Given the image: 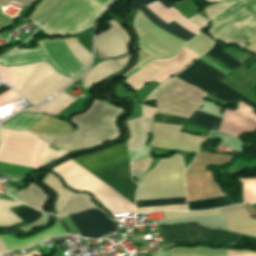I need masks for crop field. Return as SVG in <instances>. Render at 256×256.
<instances>
[{"label": "crop field", "mask_w": 256, "mask_h": 256, "mask_svg": "<svg viewBox=\"0 0 256 256\" xmlns=\"http://www.w3.org/2000/svg\"><path fill=\"white\" fill-rule=\"evenodd\" d=\"M52 170L59 174L70 188L92 193L112 214L134 211L132 204L137 185L131 181L128 161L91 173L132 204L71 160Z\"/></svg>", "instance_id": "1"}, {"label": "crop field", "mask_w": 256, "mask_h": 256, "mask_svg": "<svg viewBox=\"0 0 256 256\" xmlns=\"http://www.w3.org/2000/svg\"><path fill=\"white\" fill-rule=\"evenodd\" d=\"M181 126L153 123L151 145L196 151L204 137L180 132Z\"/></svg>", "instance_id": "14"}, {"label": "crop field", "mask_w": 256, "mask_h": 256, "mask_svg": "<svg viewBox=\"0 0 256 256\" xmlns=\"http://www.w3.org/2000/svg\"><path fill=\"white\" fill-rule=\"evenodd\" d=\"M222 49H224V47L215 42L214 46L206 54L215 58L216 60H218L219 62H221L231 70L241 65L237 61L232 59L230 56H228L227 54L221 52L220 50Z\"/></svg>", "instance_id": "38"}, {"label": "crop field", "mask_w": 256, "mask_h": 256, "mask_svg": "<svg viewBox=\"0 0 256 256\" xmlns=\"http://www.w3.org/2000/svg\"><path fill=\"white\" fill-rule=\"evenodd\" d=\"M183 158L175 154L160 162L142 180L136 200L185 196Z\"/></svg>", "instance_id": "5"}, {"label": "crop field", "mask_w": 256, "mask_h": 256, "mask_svg": "<svg viewBox=\"0 0 256 256\" xmlns=\"http://www.w3.org/2000/svg\"><path fill=\"white\" fill-rule=\"evenodd\" d=\"M197 56L198 54L183 48L176 56L151 61L126 79L138 89L152 80L161 83L185 68Z\"/></svg>", "instance_id": "11"}, {"label": "crop field", "mask_w": 256, "mask_h": 256, "mask_svg": "<svg viewBox=\"0 0 256 256\" xmlns=\"http://www.w3.org/2000/svg\"><path fill=\"white\" fill-rule=\"evenodd\" d=\"M37 44L39 46L37 48L30 50L16 49L4 55L0 58V64L11 66L46 60L51 63L58 72L70 78L77 77L62 60L49 38L37 42Z\"/></svg>", "instance_id": "12"}, {"label": "crop field", "mask_w": 256, "mask_h": 256, "mask_svg": "<svg viewBox=\"0 0 256 256\" xmlns=\"http://www.w3.org/2000/svg\"><path fill=\"white\" fill-rule=\"evenodd\" d=\"M12 132L0 128V143ZM48 144L27 132L14 131L1 143L0 161L40 169L56 152L48 148ZM67 154V151L58 150L46 164Z\"/></svg>", "instance_id": "3"}, {"label": "crop field", "mask_w": 256, "mask_h": 256, "mask_svg": "<svg viewBox=\"0 0 256 256\" xmlns=\"http://www.w3.org/2000/svg\"><path fill=\"white\" fill-rule=\"evenodd\" d=\"M127 159H129L127 151L124 145L121 144L94 155L74 159L73 161L91 172Z\"/></svg>", "instance_id": "17"}, {"label": "crop field", "mask_w": 256, "mask_h": 256, "mask_svg": "<svg viewBox=\"0 0 256 256\" xmlns=\"http://www.w3.org/2000/svg\"><path fill=\"white\" fill-rule=\"evenodd\" d=\"M163 214L165 219L226 214L228 230L256 237V221L251 220L247 211L241 205L204 212L163 211Z\"/></svg>", "instance_id": "13"}, {"label": "crop field", "mask_w": 256, "mask_h": 256, "mask_svg": "<svg viewBox=\"0 0 256 256\" xmlns=\"http://www.w3.org/2000/svg\"><path fill=\"white\" fill-rule=\"evenodd\" d=\"M70 127L53 118L43 116L30 131L33 134H63L69 132Z\"/></svg>", "instance_id": "25"}, {"label": "crop field", "mask_w": 256, "mask_h": 256, "mask_svg": "<svg viewBox=\"0 0 256 256\" xmlns=\"http://www.w3.org/2000/svg\"><path fill=\"white\" fill-rule=\"evenodd\" d=\"M60 2L61 0H44L28 20L40 25Z\"/></svg>", "instance_id": "35"}, {"label": "crop field", "mask_w": 256, "mask_h": 256, "mask_svg": "<svg viewBox=\"0 0 256 256\" xmlns=\"http://www.w3.org/2000/svg\"><path fill=\"white\" fill-rule=\"evenodd\" d=\"M152 158L133 162L131 165L132 171H146Z\"/></svg>", "instance_id": "48"}, {"label": "crop field", "mask_w": 256, "mask_h": 256, "mask_svg": "<svg viewBox=\"0 0 256 256\" xmlns=\"http://www.w3.org/2000/svg\"><path fill=\"white\" fill-rule=\"evenodd\" d=\"M107 23H109L112 26V28L115 29L119 33V35L124 39L126 44L129 45L130 37H129L128 33L118 23H116L113 19Z\"/></svg>", "instance_id": "47"}, {"label": "crop field", "mask_w": 256, "mask_h": 256, "mask_svg": "<svg viewBox=\"0 0 256 256\" xmlns=\"http://www.w3.org/2000/svg\"><path fill=\"white\" fill-rule=\"evenodd\" d=\"M22 205L19 202L0 200V226H13L22 222L8 208Z\"/></svg>", "instance_id": "33"}, {"label": "crop field", "mask_w": 256, "mask_h": 256, "mask_svg": "<svg viewBox=\"0 0 256 256\" xmlns=\"http://www.w3.org/2000/svg\"><path fill=\"white\" fill-rule=\"evenodd\" d=\"M42 254H40L39 252L37 253H33V254H30V255H27V256H41Z\"/></svg>", "instance_id": "58"}, {"label": "crop field", "mask_w": 256, "mask_h": 256, "mask_svg": "<svg viewBox=\"0 0 256 256\" xmlns=\"http://www.w3.org/2000/svg\"><path fill=\"white\" fill-rule=\"evenodd\" d=\"M70 217L83 237L98 239L118 229L112 220L96 209L71 214Z\"/></svg>", "instance_id": "15"}, {"label": "crop field", "mask_w": 256, "mask_h": 256, "mask_svg": "<svg viewBox=\"0 0 256 256\" xmlns=\"http://www.w3.org/2000/svg\"><path fill=\"white\" fill-rule=\"evenodd\" d=\"M64 40L69 50L80 61V63L87 68L91 59V54L80 44L76 37Z\"/></svg>", "instance_id": "36"}, {"label": "crop field", "mask_w": 256, "mask_h": 256, "mask_svg": "<svg viewBox=\"0 0 256 256\" xmlns=\"http://www.w3.org/2000/svg\"><path fill=\"white\" fill-rule=\"evenodd\" d=\"M95 1L106 8L113 0H95Z\"/></svg>", "instance_id": "55"}, {"label": "crop field", "mask_w": 256, "mask_h": 256, "mask_svg": "<svg viewBox=\"0 0 256 256\" xmlns=\"http://www.w3.org/2000/svg\"><path fill=\"white\" fill-rule=\"evenodd\" d=\"M18 193L24 203L42 211L44 210L48 195L33 183H31L28 189L19 191Z\"/></svg>", "instance_id": "28"}, {"label": "crop field", "mask_w": 256, "mask_h": 256, "mask_svg": "<svg viewBox=\"0 0 256 256\" xmlns=\"http://www.w3.org/2000/svg\"><path fill=\"white\" fill-rule=\"evenodd\" d=\"M154 0H135L132 4L131 9L140 8L145 15L152 20L155 24H157L162 29L166 30L167 32L178 36L186 41H188L190 38L194 37L192 33L188 32L187 30L181 28L180 26L176 25L175 23L171 22L170 24H165L158 20L146 7L145 5L151 3ZM161 4H163L166 8L172 7V4L168 0H158ZM156 25V26H157Z\"/></svg>", "instance_id": "23"}, {"label": "crop field", "mask_w": 256, "mask_h": 256, "mask_svg": "<svg viewBox=\"0 0 256 256\" xmlns=\"http://www.w3.org/2000/svg\"><path fill=\"white\" fill-rule=\"evenodd\" d=\"M234 204L229 196L188 202L189 210H209Z\"/></svg>", "instance_id": "32"}, {"label": "crop field", "mask_w": 256, "mask_h": 256, "mask_svg": "<svg viewBox=\"0 0 256 256\" xmlns=\"http://www.w3.org/2000/svg\"><path fill=\"white\" fill-rule=\"evenodd\" d=\"M159 109L160 108L156 109L151 106L143 104V119H144L146 131L149 132V130L151 128V124H152L150 119H152L154 115L158 114Z\"/></svg>", "instance_id": "43"}, {"label": "crop field", "mask_w": 256, "mask_h": 256, "mask_svg": "<svg viewBox=\"0 0 256 256\" xmlns=\"http://www.w3.org/2000/svg\"><path fill=\"white\" fill-rule=\"evenodd\" d=\"M230 3L228 2H220L218 4H214L207 9H205L206 14L208 15L209 19L215 17L219 13H221Z\"/></svg>", "instance_id": "45"}, {"label": "crop field", "mask_w": 256, "mask_h": 256, "mask_svg": "<svg viewBox=\"0 0 256 256\" xmlns=\"http://www.w3.org/2000/svg\"><path fill=\"white\" fill-rule=\"evenodd\" d=\"M15 214L25 221L27 224L32 223L34 220H36L42 213L38 212L36 210H33L27 206L21 207Z\"/></svg>", "instance_id": "42"}, {"label": "crop field", "mask_w": 256, "mask_h": 256, "mask_svg": "<svg viewBox=\"0 0 256 256\" xmlns=\"http://www.w3.org/2000/svg\"><path fill=\"white\" fill-rule=\"evenodd\" d=\"M222 73L211 66H207L196 60L191 66L184 69L175 77L223 100V101H241L253 108L256 114V105L243 98L233 90L223 85L218 80L224 77Z\"/></svg>", "instance_id": "9"}, {"label": "crop field", "mask_w": 256, "mask_h": 256, "mask_svg": "<svg viewBox=\"0 0 256 256\" xmlns=\"http://www.w3.org/2000/svg\"><path fill=\"white\" fill-rule=\"evenodd\" d=\"M0 251L1 253L8 252V249L6 248L4 243L1 241V239H0Z\"/></svg>", "instance_id": "56"}, {"label": "crop field", "mask_w": 256, "mask_h": 256, "mask_svg": "<svg viewBox=\"0 0 256 256\" xmlns=\"http://www.w3.org/2000/svg\"><path fill=\"white\" fill-rule=\"evenodd\" d=\"M42 115L33 114V113H21L6 123H4L1 127L13 129V130H28L29 126L36 122Z\"/></svg>", "instance_id": "30"}, {"label": "crop field", "mask_w": 256, "mask_h": 256, "mask_svg": "<svg viewBox=\"0 0 256 256\" xmlns=\"http://www.w3.org/2000/svg\"><path fill=\"white\" fill-rule=\"evenodd\" d=\"M124 110L94 100L85 114L73 116L71 122L77 126L78 130L67 135L36 136L68 152L89 148L120 136L115 120Z\"/></svg>", "instance_id": "2"}, {"label": "crop field", "mask_w": 256, "mask_h": 256, "mask_svg": "<svg viewBox=\"0 0 256 256\" xmlns=\"http://www.w3.org/2000/svg\"><path fill=\"white\" fill-rule=\"evenodd\" d=\"M160 209L187 210V206L186 204H180V205H167V206H155V207H142V208H136V213L148 212V211H154V210H160Z\"/></svg>", "instance_id": "44"}, {"label": "crop field", "mask_w": 256, "mask_h": 256, "mask_svg": "<svg viewBox=\"0 0 256 256\" xmlns=\"http://www.w3.org/2000/svg\"><path fill=\"white\" fill-rule=\"evenodd\" d=\"M213 42V40L201 32L194 39L188 42L185 47L201 55L212 46Z\"/></svg>", "instance_id": "37"}, {"label": "crop field", "mask_w": 256, "mask_h": 256, "mask_svg": "<svg viewBox=\"0 0 256 256\" xmlns=\"http://www.w3.org/2000/svg\"><path fill=\"white\" fill-rule=\"evenodd\" d=\"M186 203L185 197L160 200L136 201V207Z\"/></svg>", "instance_id": "41"}, {"label": "crop field", "mask_w": 256, "mask_h": 256, "mask_svg": "<svg viewBox=\"0 0 256 256\" xmlns=\"http://www.w3.org/2000/svg\"><path fill=\"white\" fill-rule=\"evenodd\" d=\"M140 48L154 58L174 55L186 42L157 28L140 11L135 19Z\"/></svg>", "instance_id": "10"}, {"label": "crop field", "mask_w": 256, "mask_h": 256, "mask_svg": "<svg viewBox=\"0 0 256 256\" xmlns=\"http://www.w3.org/2000/svg\"><path fill=\"white\" fill-rule=\"evenodd\" d=\"M130 55L129 56H125L119 59H115V62L117 64V66H124L127 65L128 61H129Z\"/></svg>", "instance_id": "54"}, {"label": "crop field", "mask_w": 256, "mask_h": 256, "mask_svg": "<svg viewBox=\"0 0 256 256\" xmlns=\"http://www.w3.org/2000/svg\"><path fill=\"white\" fill-rule=\"evenodd\" d=\"M189 20L193 21L194 23H196L200 27H203L205 22L207 21L204 18H202L201 16H199L198 14L191 17Z\"/></svg>", "instance_id": "52"}, {"label": "crop field", "mask_w": 256, "mask_h": 256, "mask_svg": "<svg viewBox=\"0 0 256 256\" xmlns=\"http://www.w3.org/2000/svg\"><path fill=\"white\" fill-rule=\"evenodd\" d=\"M214 37L239 43L256 34V0H242L234 3L214 19ZM256 54V35L238 44Z\"/></svg>", "instance_id": "4"}, {"label": "crop field", "mask_w": 256, "mask_h": 256, "mask_svg": "<svg viewBox=\"0 0 256 256\" xmlns=\"http://www.w3.org/2000/svg\"><path fill=\"white\" fill-rule=\"evenodd\" d=\"M146 56H148V55H146L145 53H143V52H141V53H139L138 54V61H137V63L138 62H140L142 59H144ZM151 60H153L151 57H147V58H145L143 61H141L139 64H135L136 66L135 67H133L132 69H130L123 77H128L129 75H131V74H133L134 72H136L137 70H139L140 68H142L145 64H147L149 61H151Z\"/></svg>", "instance_id": "46"}, {"label": "crop field", "mask_w": 256, "mask_h": 256, "mask_svg": "<svg viewBox=\"0 0 256 256\" xmlns=\"http://www.w3.org/2000/svg\"><path fill=\"white\" fill-rule=\"evenodd\" d=\"M1 254V253H0Z\"/></svg>", "instance_id": "60"}, {"label": "crop field", "mask_w": 256, "mask_h": 256, "mask_svg": "<svg viewBox=\"0 0 256 256\" xmlns=\"http://www.w3.org/2000/svg\"><path fill=\"white\" fill-rule=\"evenodd\" d=\"M149 100H156L157 106L161 107L159 113L163 114H170L189 118L192 113L197 111V108L185 102L177 100L169 95H166L158 90L153 92L146 101Z\"/></svg>", "instance_id": "19"}, {"label": "crop field", "mask_w": 256, "mask_h": 256, "mask_svg": "<svg viewBox=\"0 0 256 256\" xmlns=\"http://www.w3.org/2000/svg\"><path fill=\"white\" fill-rule=\"evenodd\" d=\"M220 120H221L220 117H216L213 115H209V114L197 111L194 114H192L189 120V123L216 129Z\"/></svg>", "instance_id": "39"}, {"label": "crop field", "mask_w": 256, "mask_h": 256, "mask_svg": "<svg viewBox=\"0 0 256 256\" xmlns=\"http://www.w3.org/2000/svg\"><path fill=\"white\" fill-rule=\"evenodd\" d=\"M127 126L130 132V139L126 143L127 150L138 152L145 140L142 118L127 121Z\"/></svg>", "instance_id": "27"}, {"label": "crop field", "mask_w": 256, "mask_h": 256, "mask_svg": "<svg viewBox=\"0 0 256 256\" xmlns=\"http://www.w3.org/2000/svg\"><path fill=\"white\" fill-rule=\"evenodd\" d=\"M160 233L165 241L176 245L206 244L221 247H234L239 234L210 230L199 225L161 226Z\"/></svg>", "instance_id": "8"}, {"label": "crop field", "mask_w": 256, "mask_h": 256, "mask_svg": "<svg viewBox=\"0 0 256 256\" xmlns=\"http://www.w3.org/2000/svg\"><path fill=\"white\" fill-rule=\"evenodd\" d=\"M43 182L45 184L49 185L50 187H52L55 190V192L57 193L58 199L55 204V210L58 213H60L64 209L67 202L69 201L72 193L63 189L61 184L59 183V181L56 178H54L52 175H50L49 173L47 174V176Z\"/></svg>", "instance_id": "31"}, {"label": "crop field", "mask_w": 256, "mask_h": 256, "mask_svg": "<svg viewBox=\"0 0 256 256\" xmlns=\"http://www.w3.org/2000/svg\"><path fill=\"white\" fill-rule=\"evenodd\" d=\"M253 109L238 104L237 110L225 109L223 112V121L219 131L238 138L242 132L252 131L256 128V116L251 112Z\"/></svg>", "instance_id": "16"}, {"label": "crop field", "mask_w": 256, "mask_h": 256, "mask_svg": "<svg viewBox=\"0 0 256 256\" xmlns=\"http://www.w3.org/2000/svg\"><path fill=\"white\" fill-rule=\"evenodd\" d=\"M10 68L20 77L16 91L33 105L46 100L71 81L46 62Z\"/></svg>", "instance_id": "6"}, {"label": "crop field", "mask_w": 256, "mask_h": 256, "mask_svg": "<svg viewBox=\"0 0 256 256\" xmlns=\"http://www.w3.org/2000/svg\"><path fill=\"white\" fill-rule=\"evenodd\" d=\"M157 89L176 97L180 100H183L187 103H190L196 107H199L203 101L207 93L177 79L173 78L165 83H163Z\"/></svg>", "instance_id": "18"}, {"label": "crop field", "mask_w": 256, "mask_h": 256, "mask_svg": "<svg viewBox=\"0 0 256 256\" xmlns=\"http://www.w3.org/2000/svg\"><path fill=\"white\" fill-rule=\"evenodd\" d=\"M52 227V226H51ZM61 234H68L65 229L60 225L58 221H56V224L43 232H40L32 237L25 238V239H15L11 238L7 235H0L2 240L4 241L5 245L9 249V251L13 249H23L30 245H33L37 242L49 239L51 237L61 235Z\"/></svg>", "instance_id": "21"}, {"label": "crop field", "mask_w": 256, "mask_h": 256, "mask_svg": "<svg viewBox=\"0 0 256 256\" xmlns=\"http://www.w3.org/2000/svg\"><path fill=\"white\" fill-rule=\"evenodd\" d=\"M243 184L242 201L256 202V178L240 179Z\"/></svg>", "instance_id": "40"}, {"label": "crop field", "mask_w": 256, "mask_h": 256, "mask_svg": "<svg viewBox=\"0 0 256 256\" xmlns=\"http://www.w3.org/2000/svg\"><path fill=\"white\" fill-rule=\"evenodd\" d=\"M11 1L29 6L34 0H0V6H8Z\"/></svg>", "instance_id": "51"}, {"label": "crop field", "mask_w": 256, "mask_h": 256, "mask_svg": "<svg viewBox=\"0 0 256 256\" xmlns=\"http://www.w3.org/2000/svg\"><path fill=\"white\" fill-rule=\"evenodd\" d=\"M146 7L152 11L161 21L167 24L173 21L195 35L203 30L202 28L185 19L174 7L166 9L158 1H155Z\"/></svg>", "instance_id": "22"}, {"label": "crop field", "mask_w": 256, "mask_h": 256, "mask_svg": "<svg viewBox=\"0 0 256 256\" xmlns=\"http://www.w3.org/2000/svg\"><path fill=\"white\" fill-rule=\"evenodd\" d=\"M94 203L90 201V196L86 194H73L69 204L61 214H69L73 212L83 211L94 207Z\"/></svg>", "instance_id": "34"}, {"label": "crop field", "mask_w": 256, "mask_h": 256, "mask_svg": "<svg viewBox=\"0 0 256 256\" xmlns=\"http://www.w3.org/2000/svg\"><path fill=\"white\" fill-rule=\"evenodd\" d=\"M76 99H73L62 92L57 94L55 97H53L51 100H49L47 103L32 108L28 111L30 112H40V113H46L49 115H56L58 112L63 110L65 107H67L69 104L74 102Z\"/></svg>", "instance_id": "26"}, {"label": "crop field", "mask_w": 256, "mask_h": 256, "mask_svg": "<svg viewBox=\"0 0 256 256\" xmlns=\"http://www.w3.org/2000/svg\"><path fill=\"white\" fill-rule=\"evenodd\" d=\"M12 23V17L4 15L0 9V29Z\"/></svg>", "instance_id": "50"}, {"label": "crop field", "mask_w": 256, "mask_h": 256, "mask_svg": "<svg viewBox=\"0 0 256 256\" xmlns=\"http://www.w3.org/2000/svg\"><path fill=\"white\" fill-rule=\"evenodd\" d=\"M125 67L117 68L114 60H105L100 62L84 74L85 89L112 77Z\"/></svg>", "instance_id": "24"}, {"label": "crop field", "mask_w": 256, "mask_h": 256, "mask_svg": "<svg viewBox=\"0 0 256 256\" xmlns=\"http://www.w3.org/2000/svg\"><path fill=\"white\" fill-rule=\"evenodd\" d=\"M95 44L99 58L117 56L128 52L125 42L112 28L96 36Z\"/></svg>", "instance_id": "20"}, {"label": "crop field", "mask_w": 256, "mask_h": 256, "mask_svg": "<svg viewBox=\"0 0 256 256\" xmlns=\"http://www.w3.org/2000/svg\"><path fill=\"white\" fill-rule=\"evenodd\" d=\"M207 2H210V3H213V2H218L220 0H206ZM227 1H230V2H235L237 0H227Z\"/></svg>", "instance_id": "57"}, {"label": "crop field", "mask_w": 256, "mask_h": 256, "mask_svg": "<svg viewBox=\"0 0 256 256\" xmlns=\"http://www.w3.org/2000/svg\"><path fill=\"white\" fill-rule=\"evenodd\" d=\"M17 97H19V95L10 89V90L0 94V104L6 103L10 100L17 98Z\"/></svg>", "instance_id": "49"}, {"label": "crop field", "mask_w": 256, "mask_h": 256, "mask_svg": "<svg viewBox=\"0 0 256 256\" xmlns=\"http://www.w3.org/2000/svg\"><path fill=\"white\" fill-rule=\"evenodd\" d=\"M228 256H256V253L228 251Z\"/></svg>", "instance_id": "53"}, {"label": "crop field", "mask_w": 256, "mask_h": 256, "mask_svg": "<svg viewBox=\"0 0 256 256\" xmlns=\"http://www.w3.org/2000/svg\"><path fill=\"white\" fill-rule=\"evenodd\" d=\"M171 256H198V255H171Z\"/></svg>", "instance_id": "59"}, {"label": "crop field", "mask_w": 256, "mask_h": 256, "mask_svg": "<svg viewBox=\"0 0 256 256\" xmlns=\"http://www.w3.org/2000/svg\"><path fill=\"white\" fill-rule=\"evenodd\" d=\"M51 41L66 64L79 76L86 68L74 58L65 45L63 38H52Z\"/></svg>", "instance_id": "29"}, {"label": "crop field", "mask_w": 256, "mask_h": 256, "mask_svg": "<svg viewBox=\"0 0 256 256\" xmlns=\"http://www.w3.org/2000/svg\"><path fill=\"white\" fill-rule=\"evenodd\" d=\"M102 6L93 0H64L41 26L49 34H71L91 26Z\"/></svg>", "instance_id": "7"}]
</instances>
